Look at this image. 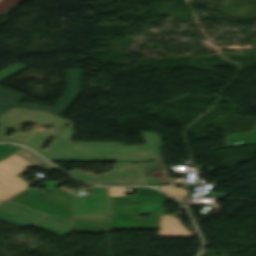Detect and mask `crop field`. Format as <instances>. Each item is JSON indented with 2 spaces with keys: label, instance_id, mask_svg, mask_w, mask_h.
<instances>
[{
  "label": "crop field",
  "instance_id": "crop-field-7",
  "mask_svg": "<svg viewBox=\"0 0 256 256\" xmlns=\"http://www.w3.org/2000/svg\"><path fill=\"white\" fill-rule=\"evenodd\" d=\"M47 215L48 214L10 200L0 204V219L23 227H26Z\"/></svg>",
  "mask_w": 256,
  "mask_h": 256
},
{
  "label": "crop field",
  "instance_id": "crop-field-3",
  "mask_svg": "<svg viewBox=\"0 0 256 256\" xmlns=\"http://www.w3.org/2000/svg\"><path fill=\"white\" fill-rule=\"evenodd\" d=\"M160 215L140 217L135 213H111L110 218H73L72 232H111L112 229L158 228Z\"/></svg>",
  "mask_w": 256,
  "mask_h": 256
},
{
  "label": "crop field",
  "instance_id": "crop-field-14",
  "mask_svg": "<svg viewBox=\"0 0 256 256\" xmlns=\"http://www.w3.org/2000/svg\"><path fill=\"white\" fill-rule=\"evenodd\" d=\"M171 181H182V182H184L185 181V179H170Z\"/></svg>",
  "mask_w": 256,
  "mask_h": 256
},
{
  "label": "crop field",
  "instance_id": "crop-field-11",
  "mask_svg": "<svg viewBox=\"0 0 256 256\" xmlns=\"http://www.w3.org/2000/svg\"><path fill=\"white\" fill-rule=\"evenodd\" d=\"M6 145L8 144H0V158L22 148L21 146H18V145H13L9 148L5 147Z\"/></svg>",
  "mask_w": 256,
  "mask_h": 256
},
{
  "label": "crop field",
  "instance_id": "crop-field-10",
  "mask_svg": "<svg viewBox=\"0 0 256 256\" xmlns=\"http://www.w3.org/2000/svg\"><path fill=\"white\" fill-rule=\"evenodd\" d=\"M226 145H238L256 142V125L251 132L230 134L225 137Z\"/></svg>",
  "mask_w": 256,
  "mask_h": 256
},
{
  "label": "crop field",
  "instance_id": "crop-field-1",
  "mask_svg": "<svg viewBox=\"0 0 256 256\" xmlns=\"http://www.w3.org/2000/svg\"><path fill=\"white\" fill-rule=\"evenodd\" d=\"M38 163L45 165L46 167L38 166ZM25 168H39L42 170H52L55 169L53 166L48 164L46 161L38 157L33 152L26 150L24 148L0 159V203L8 200L9 198L25 191H31L38 194H44L47 191H36L28 189L30 185L17 175L28 172ZM58 183L56 186L64 183L65 181H45ZM44 183V182H43ZM47 189H54L56 186L43 185ZM50 191V190H49Z\"/></svg>",
  "mask_w": 256,
  "mask_h": 256
},
{
  "label": "crop field",
  "instance_id": "crop-field-9",
  "mask_svg": "<svg viewBox=\"0 0 256 256\" xmlns=\"http://www.w3.org/2000/svg\"><path fill=\"white\" fill-rule=\"evenodd\" d=\"M157 236H193L179 222L177 215L161 216Z\"/></svg>",
  "mask_w": 256,
  "mask_h": 256
},
{
  "label": "crop field",
  "instance_id": "crop-field-6",
  "mask_svg": "<svg viewBox=\"0 0 256 256\" xmlns=\"http://www.w3.org/2000/svg\"><path fill=\"white\" fill-rule=\"evenodd\" d=\"M162 196L110 197L111 212H161Z\"/></svg>",
  "mask_w": 256,
  "mask_h": 256
},
{
  "label": "crop field",
  "instance_id": "crop-field-2",
  "mask_svg": "<svg viewBox=\"0 0 256 256\" xmlns=\"http://www.w3.org/2000/svg\"><path fill=\"white\" fill-rule=\"evenodd\" d=\"M27 68L24 65L15 63L0 71V81L9 77L10 75L19 72ZM81 92V79H80V69H69L67 70V84L66 91L58 103L50 107L43 106H33L28 104H18L19 101L24 99L25 95L9 90L7 88L0 86V114L8 110L10 106H18L29 109L47 110L58 116L71 104V102L80 94Z\"/></svg>",
  "mask_w": 256,
  "mask_h": 256
},
{
  "label": "crop field",
  "instance_id": "crop-field-8",
  "mask_svg": "<svg viewBox=\"0 0 256 256\" xmlns=\"http://www.w3.org/2000/svg\"><path fill=\"white\" fill-rule=\"evenodd\" d=\"M32 227L44 230L46 232H49L61 237L71 233L70 222L54 217L52 215L46 217L45 219L33 225Z\"/></svg>",
  "mask_w": 256,
  "mask_h": 256
},
{
  "label": "crop field",
  "instance_id": "crop-field-4",
  "mask_svg": "<svg viewBox=\"0 0 256 256\" xmlns=\"http://www.w3.org/2000/svg\"><path fill=\"white\" fill-rule=\"evenodd\" d=\"M10 200L72 222L74 194L55 189L43 196L24 192Z\"/></svg>",
  "mask_w": 256,
  "mask_h": 256
},
{
  "label": "crop field",
  "instance_id": "crop-field-5",
  "mask_svg": "<svg viewBox=\"0 0 256 256\" xmlns=\"http://www.w3.org/2000/svg\"><path fill=\"white\" fill-rule=\"evenodd\" d=\"M73 217H110L107 187H93V195L75 196Z\"/></svg>",
  "mask_w": 256,
  "mask_h": 256
},
{
  "label": "crop field",
  "instance_id": "crop-field-13",
  "mask_svg": "<svg viewBox=\"0 0 256 256\" xmlns=\"http://www.w3.org/2000/svg\"><path fill=\"white\" fill-rule=\"evenodd\" d=\"M110 196H125L124 187H108Z\"/></svg>",
  "mask_w": 256,
  "mask_h": 256
},
{
  "label": "crop field",
  "instance_id": "crop-field-12",
  "mask_svg": "<svg viewBox=\"0 0 256 256\" xmlns=\"http://www.w3.org/2000/svg\"><path fill=\"white\" fill-rule=\"evenodd\" d=\"M137 195H162L160 191L150 188L137 187Z\"/></svg>",
  "mask_w": 256,
  "mask_h": 256
}]
</instances>
